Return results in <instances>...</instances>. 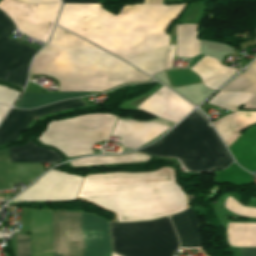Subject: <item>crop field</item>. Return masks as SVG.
Here are the masks:
<instances>
[{
	"instance_id": "crop-field-1",
	"label": "crop field",
	"mask_w": 256,
	"mask_h": 256,
	"mask_svg": "<svg viewBox=\"0 0 256 256\" xmlns=\"http://www.w3.org/2000/svg\"><path fill=\"white\" fill-rule=\"evenodd\" d=\"M185 5H128L114 15L101 4H64L57 24L125 59L167 46L165 32Z\"/></svg>"
},
{
	"instance_id": "crop-field-2",
	"label": "crop field",
	"mask_w": 256,
	"mask_h": 256,
	"mask_svg": "<svg viewBox=\"0 0 256 256\" xmlns=\"http://www.w3.org/2000/svg\"><path fill=\"white\" fill-rule=\"evenodd\" d=\"M77 198L114 211L119 222L158 219L188 207L171 168L142 174L87 175Z\"/></svg>"
},
{
	"instance_id": "crop-field-3",
	"label": "crop field",
	"mask_w": 256,
	"mask_h": 256,
	"mask_svg": "<svg viewBox=\"0 0 256 256\" xmlns=\"http://www.w3.org/2000/svg\"><path fill=\"white\" fill-rule=\"evenodd\" d=\"M91 45L56 27L49 44L33 59L30 72L57 78L59 91H104L150 79Z\"/></svg>"
},
{
	"instance_id": "crop-field-4",
	"label": "crop field",
	"mask_w": 256,
	"mask_h": 256,
	"mask_svg": "<svg viewBox=\"0 0 256 256\" xmlns=\"http://www.w3.org/2000/svg\"><path fill=\"white\" fill-rule=\"evenodd\" d=\"M140 152L178 158L186 171L222 170L233 162L212 127L198 110L161 140Z\"/></svg>"
},
{
	"instance_id": "crop-field-5",
	"label": "crop field",
	"mask_w": 256,
	"mask_h": 256,
	"mask_svg": "<svg viewBox=\"0 0 256 256\" xmlns=\"http://www.w3.org/2000/svg\"><path fill=\"white\" fill-rule=\"evenodd\" d=\"M84 213L54 212V256H83ZM84 256H110L108 223L85 214Z\"/></svg>"
},
{
	"instance_id": "crop-field-6",
	"label": "crop field",
	"mask_w": 256,
	"mask_h": 256,
	"mask_svg": "<svg viewBox=\"0 0 256 256\" xmlns=\"http://www.w3.org/2000/svg\"><path fill=\"white\" fill-rule=\"evenodd\" d=\"M116 116L89 114L49 123L39 141L57 147L68 157L91 154L95 142L108 138Z\"/></svg>"
},
{
	"instance_id": "crop-field-7",
	"label": "crop field",
	"mask_w": 256,
	"mask_h": 256,
	"mask_svg": "<svg viewBox=\"0 0 256 256\" xmlns=\"http://www.w3.org/2000/svg\"><path fill=\"white\" fill-rule=\"evenodd\" d=\"M112 243L167 239L177 237L169 218L138 223H110ZM178 239L112 244L121 256H173Z\"/></svg>"
},
{
	"instance_id": "crop-field-8",
	"label": "crop field",
	"mask_w": 256,
	"mask_h": 256,
	"mask_svg": "<svg viewBox=\"0 0 256 256\" xmlns=\"http://www.w3.org/2000/svg\"><path fill=\"white\" fill-rule=\"evenodd\" d=\"M14 24L0 11V79L24 86L31 57L38 51L7 38Z\"/></svg>"
},
{
	"instance_id": "crop-field-9",
	"label": "crop field",
	"mask_w": 256,
	"mask_h": 256,
	"mask_svg": "<svg viewBox=\"0 0 256 256\" xmlns=\"http://www.w3.org/2000/svg\"><path fill=\"white\" fill-rule=\"evenodd\" d=\"M196 25L177 26V57L192 58L199 54ZM190 70L199 75L205 87L217 90L239 69L221 66L215 58L205 56Z\"/></svg>"
},
{
	"instance_id": "crop-field-10",
	"label": "crop field",
	"mask_w": 256,
	"mask_h": 256,
	"mask_svg": "<svg viewBox=\"0 0 256 256\" xmlns=\"http://www.w3.org/2000/svg\"><path fill=\"white\" fill-rule=\"evenodd\" d=\"M59 4L25 5L14 0H2L0 9L20 31L44 42L48 39L57 16Z\"/></svg>"
},
{
	"instance_id": "crop-field-11",
	"label": "crop field",
	"mask_w": 256,
	"mask_h": 256,
	"mask_svg": "<svg viewBox=\"0 0 256 256\" xmlns=\"http://www.w3.org/2000/svg\"><path fill=\"white\" fill-rule=\"evenodd\" d=\"M82 177L52 170L12 201L75 199Z\"/></svg>"
},
{
	"instance_id": "crop-field-12",
	"label": "crop field",
	"mask_w": 256,
	"mask_h": 256,
	"mask_svg": "<svg viewBox=\"0 0 256 256\" xmlns=\"http://www.w3.org/2000/svg\"><path fill=\"white\" fill-rule=\"evenodd\" d=\"M87 107L81 98L76 100L62 101L40 109L24 111L11 109L4 122L0 126V144L15 140L30 118L52 114L67 109Z\"/></svg>"
},
{
	"instance_id": "crop-field-13",
	"label": "crop field",
	"mask_w": 256,
	"mask_h": 256,
	"mask_svg": "<svg viewBox=\"0 0 256 256\" xmlns=\"http://www.w3.org/2000/svg\"><path fill=\"white\" fill-rule=\"evenodd\" d=\"M193 108L173 92L164 88L137 109L176 123Z\"/></svg>"
},
{
	"instance_id": "crop-field-14",
	"label": "crop field",
	"mask_w": 256,
	"mask_h": 256,
	"mask_svg": "<svg viewBox=\"0 0 256 256\" xmlns=\"http://www.w3.org/2000/svg\"><path fill=\"white\" fill-rule=\"evenodd\" d=\"M43 172L42 163H9L8 149L0 151V189L32 181Z\"/></svg>"
},
{
	"instance_id": "crop-field-15",
	"label": "crop field",
	"mask_w": 256,
	"mask_h": 256,
	"mask_svg": "<svg viewBox=\"0 0 256 256\" xmlns=\"http://www.w3.org/2000/svg\"><path fill=\"white\" fill-rule=\"evenodd\" d=\"M167 128L149 123L139 125L118 120L112 135L121 137L124 146L137 148L156 138Z\"/></svg>"
},
{
	"instance_id": "crop-field-16",
	"label": "crop field",
	"mask_w": 256,
	"mask_h": 256,
	"mask_svg": "<svg viewBox=\"0 0 256 256\" xmlns=\"http://www.w3.org/2000/svg\"><path fill=\"white\" fill-rule=\"evenodd\" d=\"M175 44L125 59L137 68L153 75L163 69L172 68Z\"/></svg>"
},
{
	"instance_id": "crop-field-17",
	"label": "crop field",
	"mask_w": 256,
	"mask_h": 256,
	"mask_svg": "<svg viewBox=\"0 0 256 256\" xmlns=\"http://www.w3.org/2000/svg\"><path fill=\"white\" fill-rule=\"evenodd\" d=\"M256 122V112H235L212 123L227 147L239 135V131Z\"/></svg>"
},
{
	"instance_id": "crop-field-18",
	"label": "crop field",
	"mask_w": 256,
	"mask_h": 256,
	"mask_svg": "<svg viewBox=\"0 0 256 256\" xmlns=\"http://www.w3.org/2000/svg\"><path fill=\"white\" fill-rule=\"evenodd\" d=\"M170 219L179 236L181 247L201 246L198 234L199 224L190 208L171 216Z\"/></svg>"
},
{
	"instance_id": "crop-field-19",
	"label": "crop field",
	"mask_w": 256,
	"mask_h": 256,
	"mask_svg": "<svg viewBox=\"0 0 256 256\" xmlns=\"http://www.w3.org/2000/svg\"><path fill=\"white\" fill-rule=\"evenodd\" d=\"M41 148L30 141L24 145L9 147L10 162H57L62 160L60 155L54 151Z\"/></svg>"
},
{
	"instance_id": "crop-field-20",
	"label": "crop field",
	"mask_w": 256,
	"mask_h": 256,
	"mask_svg": "<svg viewBox=\"0 0 256 256\" xmlns=\"http://www.w3.org/2000/svg\"><path fill=\"white\" fill-rule=\"evenodd\" d=\"M220 91L253 92V97L243 108L256 109V60Z\"/></svg>"
},
{
	"instance_id": "crop-field-21",
	"label": "crop field",
	"mask_w": 256,
	"mask_h": 256,
	"mask_svg": "<svg viewBox=\"0 0 256 256\" xmlns=\"http://www.w3.org/2000/svg\"><path fill=\"white\" fill-rule=\"evenodd\" d=\"M150 156L138 154L136 152L132 154H124L119 156H99V157H88L78 159L69 162L71 166L81 165H99V164H117V163H135V162H146Z\"/></svg>"
},
{
	"instance_id": "crop-field-22",
	"label": "crop field",
	"mask_w": 256,
	"mask_h": 256,
	"mask_svg": "<svg viewBox=\"0 0 256 256\" xmlns=\"http://www.w3.org/2000/svg\"><path fill=\"white\" fill-rule=\"evenodd\" d=\"M91 95L90 93H59L54 95H43V94H30L23 93L22 97L18 101L16 107L18 108H35L38 106H43L48 103Z\"/></svg>"
},
{
	"instance_id": "crop-field-23",
	"label": "crop field",
	"mask_w": 256,
	"mask_h": 256,
	"mask_svg": "<svg viewBox=\"0 0 256 256\" xmlns=\"http://www.w3.org/2000/svg\"><path fill=\"white\" fill-rule=\"evenodd\" d=\"M251 95L252 93L246 92H219L208 104L235 111L247 102Z\"/></svg>"
},
{
	"instance_id": "crop-field-24",
	"label": "crop field",
	"mask_w": 256,
	"mask_h": 256,
	"mask_svg": "<svg viewBox=\"0 0 256 256\" xmlns=\"http://www.w3.org/2000/svg\"><path fill=\"white\" fill-rule=\"evenodd\" d=\"M14 248L15 256H30L29 236L16 234Z\"/></svg>"
},
{
	"instance_id": "crop-field-25",
	"label": "crop field",
	"mask_w": 256,
	"mask_h": 256,
	"mask_svg": "<svg viewBox=\"0 0 256 256\" xmlns=\"http://www.w3.org/2000/svg\"><path fill=\"white\" fill-rule=\"evenodd\" d=\"M19 92L9 89L7 87L0 86V103L5 105H11Z\"/></svg>"
},
{
	"instance_id": "crop-field-26",
	"label": "crop field",
	"mask_w": 256,
	"mask_h": 256,
	"mask_svg": "<svg viewBox=\"0 0 256 256\" xmlns=\"http://www.w3.org/2000/svg\"><path fill=\"white\" fill-rule=\"evenodd\" d=\"M241 256H256V248L254 249H240Z\"/></svg>"
},
{
	"instance_id": "crop-field-27",
	"label": "crop field",
	"mask_w": 256,
	"mask_h": 256,
	"mask_svg": "<svg viewBox=\"0 0 256 256\" xmlns=\"http://www.w3.org/2000/svg\"><path fill=\"white\" fill-rule=\"evenodd\" d=\"M64 3H99L98 0H64Z\"/></svg>"
},
{
	"instance_id": "crop-field-28",
	"label": "crop field",
	"mask_w": 256,
	"mask_h": 256,
	"mask_svg": "<svg viewBox=\"0 0 256 256\" xmlns=\"http://www.w3.org/2000/svg\"><path fill=\"white\" fill-rule=\"evenodd\" d=\"M26 3H47V2H60V0H19Z\"/></svg>"
},
{
	"instance_id": "crop-field-29",
	"label": "crop field",
	"mask_w": 256,
	"mask_h": 256,
	"mask_svg": "<svg viewBox=\"0 0 256 256\" xmlns=\"http://www.w3.org/2000/svg\"><path fill=\"white\" fill-rule=\"evenodd\" d=\"M8 109H9L8 107L0 105V121L2 120V118L4 117Z\"/></svg>"
}]
</instances>
